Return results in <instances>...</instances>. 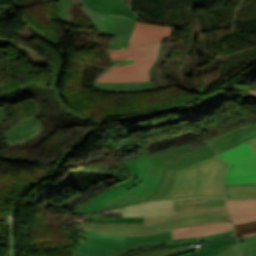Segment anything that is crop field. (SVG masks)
<instances>
[{
	"label": "crop field",
	"mask_w": 256,
	"mask_h": 256,
	"mask_svg": "<svg viewBox=\"0 0 256 256\" xmlns=\"http://www.w3.org/2000/svg\"><path fill=\"white\" fill-rule=\"evenodd\" d=\"M231 221L225 206L175 212V215L144 217V223H81L78 228L110 235L142 236L181 227Z\"/></svg>",
	"instance_id": "crop-field-1"
},
{
	"label": "crop field",
	"mask_w": 256,
	"mask_h": 256,
	"mask_svg": "<svg viewBox=\"0 0 256 256\" xmlns=\"http://www.w3.org/2000/svg\"><path fill=\"white\" fill-rule=\"evenodd\" d=\"M162 40L148 45L110 49V64L114 66L94 82L101 83H132L152 81L151 69L161 54Z\"/></svg>",
	"instance_id": "crop-field-2"
},
{
	"label": "crop field",
	"mask_w": 256,
	"mask_h": 256,
	"mask_svg": "<svg viewBox=\"0 0 256 256\" xmlns=\"http://www.w3.org/2000/svg\"><path fill=\"white\" fill-rule=\"evenodd\" d=\"M227 167L226 163L215 156L180 170L174 187L165 200L224 197V172Z\"/></svg>",
	"instance_id": "crop-field-3"
},
{
	"label": "crop field",
	"mask_w": 256,
	"mask_h": 256,
	"mask_svg": "<svg viewBox=\"0 0 256 256\" xmlns=\"http://www.w3.org/2000/svg\"><path fill=\"white\" fill-rule=\"evenodd\" d=\"M69 231L80 236V238L77 240L80 246L79 251L73 256H120L128 251H132L147 246L166 244V246L169 247L192 242H201L200 237H196L178 239L173 241L160 240L144 244L124 246L125 242L123 241L93 237L85 234H80L73 230Z\"/></svg>",
	"instance_id": "crop-field-4"
},
{
	"label": "crop field",
	"mask_w": 256,
	"mask_h": 256,
	"mask_svg": "<svg viewBox=\"0 0 256 256\" xmlns=\"http://www.w3.org/2000/svg\"><path fill=\"white\" fill-rule=\"evenodd\" d=\"M217 156L230 163L226 184L256 182V154L246 142Z\"/></svg>",
	"instance_id": "crop-field-5"
},
{
	"label": "crop field",
	"mask_w": 256,
	"mask_h": 256,
	"mask_svg": "<svg viewBox=\"0 0 256 256\" xmlns=\"http://www.w3.org/2000/svg\"><path fill=\"white\" fill-rule=\"evenodd\" d=\"M152 159L153 158H151L149 155H143L136 161H124L130 171L131 179L118 185L112 186L108 191H105L104 193L96 196L94 199L80 206L74 211L76 213L91 212L92 210L100 207L111 199L117 197L118 195L128 191L130 188L139 185L141 182H143L146 170Z\"/></svg>",
	"instance_id": "crop-field-6"
},
{
	"label": "crop field",
	"mask_w": 256,
	"mask_h": 256,
	"mask_svg": "<svg viewBox=\"0 0 256 256\" xmlns=\"http://www.w3.org/2000/svg\"><path fill=\"white\" fill-rule=\"evenodd\" d=\"M232 228H233L232 223L226 222V223H219V224H210V225L181 228V229H176L169 232H163V233H158V234L143 236V237L110 236V235H104V234L94 233L90 231H78V232L93 235V236L103 237V238H114V239L123 240V241H126L125 245H129V244L143 243V242L160 240V239L172 240V239H178V238L204 236V235H209V234L221 232V231L232 229Z\"/></svg>",
	"instance_id": "crop-field-7"
},
{
	"label": "crop field",
	"mask_w": 256,
	"mask_h": 256,
	"mask_svg": "<svg viewBox=\"0 0 256 256\" xmlns=\"http://www.w3.org/2000/svg\"><path fill=\"white\" fill-rule=\"evenodd\" d=\"M163 170L164 166L153 160L147 170L144 182L142 184L120 195L116 199L106 203L94 211L142 203L158 187Z\"/></svg>",
	"instance_id": "crop-field-8"
},
{
	"label": "crop field",
	"mask_w": 256,
	"mask_h": 256,
	"mask_svg": "<svg viewBox=\"0 0 256 256\" xmlns=\"http://www.w3.org/2000/svg\"><path fill=\"white\" fill-rule=\"evenodd\" d=\"M212 154L213 153L206 146L193 150L192 147L187 144L157 153L151 157L167 167L182 169L208 158L212 156Z\"/></svg>",
	"instance_id": "crop-field-9"
},
{
	"label": "crop field",
	"mask_w": 256,
	"mask_h": 256,
	"mask_svg": "<svg viewBox=\"0 0 256 256\" xmlns=\"http://www.w3.org/2000/svg\"><path fill=\"white\" fill-rule=\"evenodd\" d=\"M76 4L84 13L93 19V23L97 25V32L100 35L113 36L114 29L111 21V16H105L88 9L81 0H59L58 5L60 9L59 16L62 21L70 22L72 19L69 17V10L71 5Z\"/></svg>",
	"instance_id": "crop-field-10"
},
{
	"label": "crop field",
	"mask_w": 256,
	"mask_h": 256,
	"mask_svg": "<svg viewBox=\"0 0 256 256\" xmlns=\"http://www.w3.org/2000/svg\"><path fill=\"white\" fill-rule=\"evenodd\" d=\"M17 124L4 132L8 146L26 143L38 136L43 130V125L35 116H29L26 120H18Z\"/></svg>",
	"instance_id": "crop-field-11"
},
{
	"label": "crop field",
	"mask_w": 256,
	"mask_h": 256,
	"mask_svg": "<svg viewBox=\"0 0 256 256\" xmlns=\"http://www.w3.org/2000/svg\"><path fill=\"white\" fill-rule=\"evenodd\" d=\"M256 136V125L242 127L223 134L217 138L205 141V144L215 154L226 150L234 145H238L243 141ZM235 147V146H234Z\"/></svg>",
	"instance_id": "crop-field-12"
},
{
	"label": "crop field",
	"mask_w": 256,
	"mask_h": 256,
	"mask_svg": "<svg viewBox=\"0 0 256 256\" xmlns=\"http://www.w3.org/2000/svg\"><path fill=\"white\" fill-rule=\"evenodd\" d=\"M172 26L137 23L128 47L140 46L171 37Z\"/></svg>",
	"instance_id": "crop-field-13"
},
{
	"label": "crop field",
	"mask_w": 256,
	"mask_h": 256,
	"mask_svg": "<svg viewBox=\"0 0 256 256\" xmlns=\"http://www.w3.org/2000/svg\"><path fill=\"white\" fill-rule=\"evenodd\" d=\"M90 8L110 15H121L133 21L138 17L132 12L130 6L125 4V0H83Z\"/></svg>",
	"instance_id": "crop-field-14"
},
{
	"label": "crop field",
	"mask_w": 256,
	"mask_h": 256,
	"mask_svg": "<svg viewBox=\"0 0 256 256\" xmlns=\"http://www.w3.org/2000/svg\"><path fill=\"white\" fill-rule=\"evenodd\" d=\"M121 211L123 213V217L174 214L172 201L149 202L145 204L121 208Z\"/></svg>",
	"instance_id": "crop-field-15"
},
{
	"label": "crop field",
	"mask_w": 256,
	"mask_h": 256,
	"mask_svg": "<svg viewBox=\"0 0 256 256\" xmlns=\"http://www.w3.org/2000/svg\"><path fill=\"white\" fill-rule=\"evenodd\" d=\"M234 224L256 220L255 200H227Z\"/></svg>",
	"instance_id": "crop-field-16"
},
{
	"label": "crop field",
	"mask_w": 256,
	"mask_h": 256,
	"mask_svg": "<svg viewBox=\"0 0 256 256\" xmlns=\"http://www.w3.org/2000/svg\"><path fill=\"white\" fill-rule=\"evenodd\" d=\"M112 21L115 28V34L114 39L109 41L110 48H126L135 23L117 16H112Z\"/></svg>",
	"instance_id": "crop-field-17"
},
{
	"label": "crop field",
	"mask_w": 256,
	"mask_h": 256,
	"mask_svg": "<svg viewBox=\"0 0 256 256\" xmlns=\"http://www.w3.org/2000/svg\"><path fill=\"white\" fill-rule=\"evenodd\" d=\"M100 91H107L113 93H134L154 91L152 82L150 83H132V84H100L93 85Z\"/></svg>",
	"instance_id": "crop-field-18"
},
{
	"label": "crop field",
	"mask_w": 256,
	"mask_h": 256,
	"mask_svg": "<svg viewBox=\"0 0 256 256\" xmlns=\"http://www.w3.org/2000/svg\"><path fill=\"white\" fill-rule=\"evenodd\" d=\"M174 209L186 210L195 208H206L225 205V199L223 198H197V199H181L175 200Z\"/></svg>",
	"instance_id": "crop-field-19"
},
{
	"label": "crop field",
	"mask_w": 256,
	"mask_h": 256,
	"mask_svg": "<svg viewBox=\"0 0 256 256\" xmlns=\"http://www.w3.org/2000/svg\"><path fill=\"white\" fill-rule=\"evenodd\" d=\"M236 243L234 237H227L223 239L214 240L204 247L199 249V252L195 251L181 256H213L216 253L226 249L232 244Z\"/></svg>",
	"instance_id": "crop-field-20"
},
{
	"label": "crop field",
	"mask_w": 256,
	"mask_h": 256,
	"mask_svg": "<svg viewBox=\"0 0 256 256\" xmlns=\"http://www.w3.org/2000/svg\"><path fill=\"white\" fill-rule=\"evenodd\" d=\"M226 199L256 197V183L225 185Z\"/></svg>",
	"instance_id": "crop-field-21"
},
{
	"label": "crop field",
	"mask_w": 256,
	"mask_h": 256,
	"mask_svg": "<svg viewBox=\"0 0 256 256\" xmlns=\"http://www.w3.org/2000/svg\"><path fill=\"white\" fill-rule=\"evenodd\" d=\"M177 171L174 169L166 168L162 177L161 184L159 187L148 197L145 202L162 200L166 197L169 192L173 181L176 177Z\"/></svg>",
	"instance_id": "crop-field-22"
},
{
	"label": "crop field",
	"mask_w": 256,
	"mask_h": 256,
	"mask_svg": "<svg viewBox=\"0 0 256 256\" xmlns=\"http://www.w3.org/2000/svg\"><path fill=\"white\" fill-rule=\"evenodd\" d=\"M58 172H60V171H57V170L52 169L51 172L48 173L47 175H45L44 177H42V178H40V179H38V180H36V181H34V182H32V183L26 185V186L23 188V190L20 192V194L18 195V197H17V199H16V201H15V203H14V205H13V208H12V215H13L14 208H15L17 202H18L20 199H22V198L28 196L26 193H27L31 188H33V187L39 185L40 183H42L43 181H45V180L48 179L49 177H51V176L57 174ZM13 225H14V219H13L12 230H11V236H12V256H16V253H15V246H16V244H15V241H14Z\"/></svg>",
	"instance_id": "crop-field-23"
},
{
	"label": "crop field",
	"mask_w": 256,
	"mask_h": 256,
	"mask_svg": "<svg viewBox=\"0 0 256 256\" xmlns=\"http://www.w3.org/2000/svg\"><path fill=\"white\" fill-rule=\"evenodd\" d=\"M242 256H256V236L237 239Z\"/></svg>",
	"instance_id": "crop-field-24"
},
{
	"label": "crop field",
	"mask_w": 256,
	"mask_h": 256,
	"mask_svg": "<svg viewBox=\"0 0 256 256\" xmlns=\"http://www.w3.org/2000/svg\"><path fill=\"white\" fill-rule=\"evenodd\" d=\"M19 14L21 15V17L24 18L25 20V25L26 27H28L37 37L42 38L43 40L55 45L57 47V49L59 50L60 54L62 55V57H64V53H63V49L59 48L57 43H59V40H52L47 38L46 36H42V34L44 35L45 33L41 32L39 29L35 28L34 24H32L28 18L25 16V14L20 10Z\"/></svg>",
	"instance_id": "crop-field-25"
},
{
	"label": "crop field",
	"mask_w": 256,
	"mask_h": 256,
	"mask_svg": "<svg viewBox=\"0 0 256 256\" xmlns=\"http://www.w3.org/2000/svg\"><path fill=\"white\" fill-rule=\"evenodd\" d=\"M238 237L256 235V221L234 225Z\"/></svg>",
	"instance_id": "crop-field-26"
},
{
	"label": "crop field",
	"mask_w": 256,
	"mask_h": 256,
	"mask_svg": "<svg viewBox=\"0 0 256 256\" xmlns=\"http://www.w3.org/2000/svg\"><path fill=\"white\" fill-rule=\"evenodd\" d=\"M185 249H186V251H183ZM192 250H195V249L179 246V247L168 249V250H162V251L147 253V254H144V255H141V256H176L180 253H184V252L192 251Z\"/></svg>",
	"instance_id": "crop-field-27"
},
{
	"label": "crop field",
	"mask_w": 256,
	"mask_h": 256,
	"mask_svg": "<svg viewBox=\"0 0 256 256\" xmlns=\"http://www.w3.org/2000/svg\"><path fill=\"white\" fill-rule=\"evenodd\" d=\"M95 220H102L107 222H143V217L140 218H109L93 216Z\"/></svg>",
	"instance_id": "crop-field-28"
},
{
	"label": "crop field",
	"mask_w": 256,
	"mask_h": 256,
	"mask_svg": "<svg viewBox=\"0 0 256 256\" xmlns=\"http://www.w3.org/2000/svg\"><path fill=\"white\" fill-rule=\"evenodd\" d=\"M215 256H240V252L237 247V244H234Z\"/></svg>",
	"instance_id": "crop-field-29"
},
{
	"label": "crop field",
	"mask_w": 256,
	"mask_h": 256,
	"mask_svg": "<svg viewBox=\"0 0 256 256\" xmlns=\"http://www.w3.org/2000/svg\"><path fill=\"white\" fill-rule=\"evenodd\" d=\"M233 234H234V229L224 231V232H221V233H217V234H213V235H209V236H204V237H201V238H202L203 241H207V240H211V239H215V238L230 236V235H233Z\"/></svg>",
	"instance_id": "crop-field-30"
},
{
	"label": "crop field",
	"mask_w": 256,
	"mask_h": 256,
	"mask_svg": "<svg viewBox=\"0 0 256 256\" xmlns=\"http://www.w3.org/2000/svg\"><path fill=\"white\" fill-rule=\"evenodd\" d=\"M249 146L252 148L254 153H256V138L250 139L247 141Z\"/></svg>",
	"instance_id": "crop-field-31"
},
{
	"label": "crop field",
	"mask_w": 256,
	"mask_h": 256,
	"mask_svg": "<svg viewBox=\"0 0 256 256\" xmlns=\"http://www.w3.org/2000/svg\"><path fill=\"white\" fill-rule=\"evenodd\" d=\"M6 120V111L4 108L0 107V124Z\"/></svg>",
	"instance_id": "crop-field-32"
},
{
	"label": "crop field",
	"mask_w": 256,
	"mask_h": 256,
	"mask_svg": "<svg viewBox=\"0 0 256 256\" xmlns=\"http://www.w3.org/2000/svg\"><path fill=\"white\" fill-rule=\"evenodd\" d=\"M0 45H2V46H4V47H6V46H7V44H2L1 42H0Z\"/></svg>",
	"instance_id": "crop-field-33"
}]
</instances>
